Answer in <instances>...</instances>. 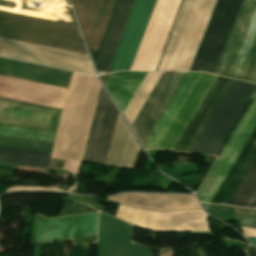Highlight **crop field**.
Returning <instances> with one entry per match:
<instances>
[{"instance_id": "obj_17", "label": "crop field", "mask_w": 256, "mask_h": 256, "mask_svg": "<svg viewBox=\"0 0 256 256\" xmlns=\"http://www.w3.org/2000/svg\"><path fill=\"white\" fill-rule=\"evenodd\" d=\"M139 149L130 129L118 115L106 165L133 168Z\"/></svg>"}, {"instance_id": "obj_5", "label": "crop field", "mask_w": 256, "mask_h": 256, "mask_svg": "<svg viewBox=\"0 0 256 256\" xmlns=\"http://www.w3.org/2000/svg\"><path fill=\"white\" fill-rule=\"evenodd\" d=\"M241 0H217L190 71L214 73Z\"/></svg>"}, {"instance_id": "obj_9", "label": "crop field", "mask_w": 256, "mask_h": 256, "mask_svg": "<svg viewBox=\"0 0 256 256\" xmlns=\"http://www.w3.org/2000/svg\"><path fill=\"white\" fill-rule=\"evenodd\" d=\"M156 0H134L108 72L129 70Z\"/></svg>"}, {"instance_id": "obj_12", "label": "crop field", "mask_w": 256, "mask_h": 256, "mask_svg": "<svg viewBox=\"0 0 256 256\" xmlns=\"http://www.w3.org/2000/svg\"><path fill=\"white\" fill-rule=\"evenodd\" d=\"M98 213L37 220L31 242L96 234Z\"/></svg>"}, {"instance_id": "obj_16", "label": "crop field", "mask_w": 256, "mask_h": 256, "mask_svg": "<svg viewBox=\"0 0 256 256\" xmlns=\"http://www.w3.org/2000/svg\"><path fill=\"white\" fill-rule=\"evenodd\" d=\"M255 159L256 128L215 193L211 202L228 205Z\"/></svg>"}, {"instance_id": "obj_19", "label": "crop field", "mask_w": 256, "mask_h": 256, "mask_svg": "<svg viewBox=\"0 0 256 256\" xmlns=\"http://www.w3.org/2000/svg\"><path fill=\"white\" fill-rule=\"evenodd\" d=\"M146 74L147 72H119L109 77L105 85L122 113Z\"/></svg>"}, {"instance_id": "obj_29", "label": "crop field", "mask_w": 256, "mask_h": 256, "mask_svg": "<svg viewBox=\"0 0 256 256\" xmlns=\"http://www.w3.org/2000/svg\"><path fill=\"white\" fill-rule=\"evenodd\" d=\"M256 214V213H255Z\"/></svg>"}, {"instance_id": "obj_8", "label": "crop field", "mask_w": 256, "mask_h": 256, "mask_svg": "<svg viewBox=\"0 0 256 256\" xmlns=\"http://www.w3.org/2000/svg\"><path fill=\"white\" fill-rule=\"evenodd\" d=\"M0 55L94 74L85 54L0 38Z\"/></svg>"}, {"instance_id": "obj_21", "label": "crop field", "mask_w": 256, "mask_h": 256, "mask_svg": "<svg viewBox=\"0 0 256 256\" xmlns=\"http://www.w3.org/2000/svg\"><path fill=\"white\" fill-rule=\"evenodd\" d=\"M51 153L0 147V160L15 164L47 167Z\"/></svg>"}, {"instance_id": "obj_10", "label": "crop field", "mask_w": 256, "mask_h": 256, "mask_svg": "<svg viewBox=\"0 0 256 256\" xmlns=\"http://www.w3.org/2000/svg\"><path fill=\"white\" fill-rule=\"evenodd\" d=\"M187 73L163 72L131 125L143 146L169 105Z\"/></svg>"}, {"instance_id": "obj_24", "label": "crop field", "mask_w": 256, "mask_h": 256, "mask_svg": "<svg viewBox=\"0 0 256 256\" xmlns=\"http://www.w3.org/2000/svg\"><path fill=\"white\" fill-rule=\"evenodd\" d=\"M0 135L54 142L56 133L0 125Z\"/></svg>"}, {"instance_id": "obj_7", "label": "crop field", "mask_w": 256, "mask_h": 256, "mask_svg": "<svg viewBox=\"0 0 256 256\" xmlns=\"http://www.w3.org/2000/svg\"><path fill=\"white\" fill-rule=\"evenodd\" d=\"M255 126L256 95L199 187L197 192L202 202H210Z\"/></svg>"}, {"instance_id": "obj_25", "label": "crop field", "mask_w": 256, "mask_h": 256, "mask_svg": "<svg viewBox=\"0 0 256 256\" xmlns=\"http://www.w3.org/2000/svg\"><path fill=\"white\" fill-rule=\"evenodd\" d=\"M240 225L243 227L255 228L256 229V215L253 217L241 219Z\"/></svg>"}, {"instance_id": "obj_23", "label": "crop field", "mask_w": 256, "mask_h": 256, "mask_svg": "<svg viewBox=\"0 0 256 256\" xmlns=\"http://www.w3.org/2000/svg\"><path fill=\"white\" fill-rule=\"evenodd\" d=\"M255 190H256V160L252 165V167L250 168L249 172L247 173L246 177L244 178L243 182L241 183L240 187L238 188L237 192L233 196L229 205L246 207L247 203L249 202L250 198L254 194Z\"/></svg>"}, {"instance_id": "obj_4", "label": "crop field", "mask_w": 256, "mask_h": 256, "mask_svg": "<svg viewBox=\"0 0 256 256\" xmlns=\"http://www.w3.org/2000/svg\"><path fill=\"white\" fill-rule=\"evenodd\" d=\"M255 90L256 85L233 80L191 152L217 155Z\"/></svg>"}, {"instance_id": "obj_26", "label": "crop field", "mask_w": 256, "mask_h": 256, "mask_svg": "<svg viewBox=\"0 0 256 256\" xmlns=\"http://www.w3.org/2000/svg\"><path fill=\"white\" fill-rule=\"evenodd\" d=\"M242 250L246 256H256V250H252L249 248H242Z\"/></svg>"}, {"instance_id": "obj_22", "label": "crop field", "mask_w": 256, "mask_h": 256, "mask_svg": "<svg viewBox=\"0 0 256 256\" xmlns=\"http://www.w3.org/2000/svg\"><path fill=\"white\" fill-rule=\"evenodd\" d=\"M162 72H148L147 76L143 80L142 84L138 88L134 97L130 101L129 105L124 111V116L129 121L130 125L134 120L135 116L139 112L146 98L150 94L157 80L161 76Z\"/></svg>"}, {"instance_id": "obj_15", "label": "crop field", "mask_w": 256, "mask_h": 256, "mask_svg": "<svg viewBox=\"0 0 256 256\" xmlns=\"http://www.w3.org/2000/svg\"><path fill=\"white\" fill-rule=\"evenodd\" d=\"M231 82V79L217 77L174 150L190 152Z\"/></svg>"}, {"instance_id": "obj_18", "label": "crop field", "mask_w": 256, "mask_h": 256, "mask_svg": "<svg viewBox=\"0 0 256 256\" xmlns=\"http://www.w3.org/2000/svg\"><path fill=\"white\" fill-rule=\"evenodd\" d=\"M133 0H120L116 13L110 25L104 44L98 56L95 67L99 74L106 72L121 30L125 23Z\"/></svg>"}, {"instance_id": "obj_14", "label": "crop field", "mask_w": 256, "mask_h": 256, "mask_svg": "<svg viewBox=\"0 0 256 256\" xmlns=\"http://www.w3.org/2000/svg\"><path fill=\"white\" fill-rule=\"evenodd\" d=\"M61 113L0 99V124L57 131Z\"/></svg>"}, {"instance_id": "obj_27", "label": "crop field", "mask_w": 256, "mask_h": 256, "mask_svg": "<svg viewBox=\"0 0 256 256\" xmlns=\"http://www.w3.org/2000/svg\"><path fill=\"white\" fill-rule=\"evenodd\" d=\"M247 207L256 208V192L248 203Z\"/></svg>"}, {"instance_id": "obj_3", "label": "crop field", "mask_w": 256, "mask_h": 256, "mask_svg": "<svg viewBox=\"0 0 256 256\" xmlns=\"http://www.w3.org/2000/svg\"><path fill=\"white\" fill-rule=\"evenodd\" d=\"M0 37L87 54L75 27L1 12Z\"/></svg>"}, {"instance_id": "obj_2", "label": "crop field", "mask_w": 256, "mask_h": 256, "mask_svg": "<svg viewBox=\"0 0 256 256\" xmlns=\"http://www.w3.org/2000/svg\"><path fill=\"white\" fill-rule=\"evenodd\" d=\"M197 0H184L157 70L169 71ZM216 0H198L170 71H189Z\"/></svg>"}, {"instance_id": "obj_6", "label": "crop field", "mask_w": 256, "mask_h": 256, "mask_svg": "<svg viewBox=\"0 0 256 256\" xmlns=\"http://www.w3.org/2000/svg\"><path fill=\"white\" fill-rule=\"evenodd\" d=\"M181 0H157L130 70H154Z\"/></svg>"}, {"instance_id": "obj_13", "label": "crop field", "mask_w": 256, "mask_h": 256, "mask_svg": "<svg viewBox=\"0 0 256 256\" xmlns=\"http://www.w3.org/2000/svg\"><path fill=\"white\" fill-rule=\"evenodd\" d=\"M118 111L102 90L85 161L105 165Z\"/></svg>"}, {"instance_id": "obj_20", "label": "crop field", "mask_w": 256, "mask_h": 256, "mask_svg": "<svg viewBox=\"0 0 256 256\" xmlns=\"http://www.w3.org/2000/svg\"><path fill=\"white\" fill-rule=\"evenodd\" d=\"M198 75L199 73H188L187 77L180 86L167 110L163 114L153 133L146 142L144 146L145 149L150 147L155 148L156 144L158 143L165 129L169 125L170 121L172 120L173 116L175 115L176 111L178 110L179 106L181 105L182 101L184 100L185 96L192 87Z\"/></svg>"}, {"instance_id": "obj_11", "label": "crop field", "mask_w": 256, "mask_h": 256, "mask_svg": "<svg viewBox=\"0 0 256 256\" xmlns=\"http://www.w3.org/2000/svg\"><path fill=\"white\" fill-rule=\"evenodd\" d=\"M200 210L203 212L202 208ZM205 224L208 230L206 215ZM119 218L143 228L161 231L203 230V217L198 209L153 212L123 205Z\"/></svg>"}, {"instance_id": "obj_28", "label": "crop field", "mask_w": 256, "mask_h": 256, "mask_svg": "<svg viewBox=\"0 0 256 256\" xmlns=\"http://www.w3.org/2000/svg\"><path fill=\"white\" fill-rule=\"evenodd\" d=\"M247 239H248L250 242H252L253 244L256 245V239H254V238H248V237H247Z\"/></svg>"}, {"instance_id": "obj_1", "label": "crop field", "mask_w": 256, "mask_h": 256, "mask_svg": "<svg viewBox=\"0 0 256 256\" xmlns=\"http://www.w3.org/2000/svg\"><path fill=\"white\" fill-rule=\"evenodd\" d=\"M214 74L256 83V0H242Z\"/></svg>"}]
</instances>
